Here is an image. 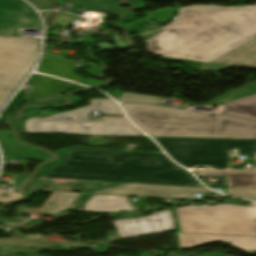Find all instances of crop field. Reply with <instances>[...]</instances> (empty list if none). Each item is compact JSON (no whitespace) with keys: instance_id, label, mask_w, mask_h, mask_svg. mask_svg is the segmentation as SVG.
Wrapping results in <instances>:
<instances>
[{"instance_id":"crop-field-1","label":"crop field","mask_w":256,"mask_h":256,"mask_svg":"<svg viewBox=\"0 0 256 256\" xmlns=\"http://www.w3.org/2000/svg\"><path fill=\"white\" fill-rule=\"evenodd\" d=\"M256 37V5L188 6L145 43L148 52L210 62Z\"/></svg>"},{"instance_id":"crop-field-2","label":"crop field","mask_w":256,"mask_h":256,"mask_svg":"<svg viewBox=\"0 0 256 256\" xmlns=\"http://www.w3.org/2000/svg\"><path fill=\"white\" fill-rule=\"evenodd\" d=\"M41 177L194 187L196 180L163 154L74 149Z\"/></svg>"},{"instance_id":"crop-field-3","label":"crop field","mask_w":256,"mask_h":256,"mask_svg":"<svg viewBox=\"0 0 256 256\" xmlns=\"http://www.w3.org/2000/svg\"><path fill=\"white\" fill-rule=\"evenodd\" d=\"M145 132L159 137L256 138V122L224 115L168 109L147 104H122Z\"/></svg>"},{"instance_id":"crop-field-4","label":"crop field","mask_w":256,"mask_h":256,"mask_svg":"<svg viewBox=\"0 0 256 256\" xmlns=\"http://www.w3.org/2000/svg\"><path fill=\"white\" fill-rule=\"evenodd\" d=\"M91 106L63 113L42 114L36 107L24 108L10 122L17 132L140 136L130 122L89 121L90 110L104 115L124 116L112 100H90ZM107 122V124H104Z\"/></svg>"},{"instance_id":"crop-field-5","label":"crop field","mask_w":256,"mask_h":256,"mask_svg":"<svg viewBox=\"0 0 256 256\" xmlns=\"http://www.w3.org/2000/svg\"><path fill=\"white\" fill-rule=\"evenodd\" d=\"M177 213L182 232L256 236V204L186 206Z\"/></svg>"},{"instance_id":"crop-field-6","label":"crop field","mask_w":256,"mask_h":256,"mask_svg":"<svg viewBox=\"0 0 256 256\" xmlns=\"http://www.w3.org/2000/svg\"><path fill=\"white\" fill-rule=\"evenodd\" d=\"M154 138L172 158L186 167L208 165L217 169H226L229 164V155L225 152L226 146L238 147L241 151L239 155H253L256 150V140Z\"/></svg>"},{"instance_id":"crop-field-7","label":"crop field","mask_w":256,"mask_h":256,"mask_svg":"<svg viewBox=\"0 0 256 256\" xmlns=\"http://www.w3.org/2000/svg\"><path fill=\"white\" fill-rule=\"evenodd\" d=\"M39 39L0 37V108L32 69Z\"/></svg>"},{"instance_id":"crop-field-8","label":"crop field","mask_w":256,"mask_h":256,"mask_svg":"<svg viewBox=\"0 0 256 256\" xmlns=\"http://www.w3.org/2000/svg\"><path fill=\"white\" fill-rule=\"evenodd\" d=\"M118 234L124 239L174 230L170 211L164 210L136 220L115 221Z\"/></svg>"},{"instance_id":"crop-field-9","label":"crop field","mask_w":256,"mask_h":256,"mask_svg":"<svg viewBox=\"0 0 256 256\" xmlns=\"http://www.w3.org/2000/svg\"><path fill=\"white\" fill-rule=\"evenodd\" d=\"M21 26L41 30L37 15L22 0H0V34L12 35Z\"/></svg>"},{"instance_id":"crop-field-10","label":"crop field","mask_w":256,"mask_h":256,"mask_svg":"<svg viewBox=\"0 0 256 256\" xmlns=\"http://www.w3.org/2000/svg\"><path fill=\"white\" fill-rule=\"evenodd\" d=\"M195 191L196 188L122 183L121 185L99 190L93 193L168 196L194 199Z\"/></svg>"},{"instance_id":"crop-field-11","label":"crop field","mask_w":256,"mask_h":256,"mask_svg":"<svg viewBox=\"0 0 256 256\" xmlns=\"http://www.w3.org/2000/svg\"><path fill=\"white\" fill-rule=\"evenodd\" d=\"M27 84L34 88V101L29 104L49 105L65 104L59 92L73 86V83L40 75H33Z\"/></svg>"},{"instance_id":"crop-field-12","label":"crop field","mask_w":256,"mask_h":256,"mask_svg":"<svg viewBox=\"0 0 256 256\" xmlns=\"http://www.w3.org/2000/svg\"><path fill=\"white\" fill-rule=\"evenodd\" d=\"M180 249L210 242H228L232 246L249 252L256 251V237L220 236L206 234L177 233Z\"/></svg>"},{"instance_id":"crop-field-13","label":"crop field","mask_w":256,"mask_h":256,"mask_svg":"<svg viewBox=\"0 0 256 256\" xmlns=\"http://www.w3.org/2000/svg\"><path fill=\"white\" fill-rule=\"evenodd\" d=\"M74 63L75 62L49 56V58H42L40 67L37 69V71L49 75L59 76L61 78L91 87L101 86L107 83L105 81L83 79L77 76L76 70L78 67L74 66Z\"/></svg>"},{"instance_id":"crop-field-14","label":"crop field","mask_w":256,"mask_h":256,"mask_svg":"<svg viewBox=\"0 0 256 256\" xmlns=\"http://www.w3.org/2000/svg\"><path fill=\"white\" fill-rule=\"evenodd\" d=\"M213 63L256 69V39L213 61Z\"/></svg>"},{"instance_id":"crop-field-15","label":"crop field","mask_w":256,"mask_h":256,"mask_svg":"<svg viewBox=\"0 0 256 256\" xmlns=\"http://www.w3.org/2000/svg\"><path fill=\"white\" fill-rule=\"evenodd\" d=\"M86 211H134L125 197L93 195L84 205Z\"/></svg>"},{"instance_id":"crop-field-16","label":"crop field","mask_w":256,"mask_h":256,"mask_svg":"<svg viewBox=\"0 0 256 256\" xmlns=\"http://www.w3.org/2000/svg\"><path fill=\"white\" fill-rule=\"evenodd\" d=\"M201 175L226 176L228 188H256V171H197Z\"/></svg>"},{"instance_id":"crop-field-17","label":"crop field","mask_w":256,"mask_h":256,"mask_svg":"<svg viewBox=\"0 0 256 256\" xmlns=\"http://www.w3.org/2000/svg\"><path fill=\"white\" fill-rule=\"evenodd\" d=\"M72 1L80 6L89 9L97 10L109 14L116 15L120 12L131 10V7H120L118 2L120 0H67Z\"/></svg>"},{"instance_id":"crop-field-18","label":"crop field","mask_w":256,"mask_h":256,"mask_svg":"<svg viewBox=\"0 0 256 256\" xmlns=\"http://www.w3.org/2000/svg\"><path fill=\"white\" fill-rule=\"evenodd\" d=\"M221 113L256 120V96L230 103L224 106Z\"/></svg>"},{"instance_id":"crop-field-19","label":"crop field","mask_w":256,"mask_h":256,"mask_svg":"<svg viewBox=\"0 0 256 256\" xmlns=\"http://www.w3.org/2000/svg\"><path fill=\"white\" fill-rule=\"evenodd\" d=\"M79 194L56 193L39 212L57 214L61 210H67Z\"/></svg>"},{"instance_id":"crop-field-20","label":"crop field","mask_w":256,"mask_h":256,"mask_svg":"<svg viewBox=\"0 0 256 256\" xmlns=\"http://www.w3.org/2000/svg\"><path fill=\"white\" fill-rule=\"evenodd\" d=\"M0 146L2 148L4 157L14 158H31L38 160H48L50 155L46 153H38L30 151L28 148L14 149L5 143V133L0 132Z\"/></svg>"},{"instance_id":"crop-field-21","label":"crop field","mask_w":256,"mask_h":256,"mask_svg":"<svg viewBox=\"0 0 256 256\" xmlns=\"http://www.w3.org/2000/svg\"><path fill=\"white\" fill-rule=\"evenodd\" d=\"M252 94H256V87L251 86L249 84L238 88L234 91H231L229 93H226L222 96H219L217 98H214L200 106H209V105H215V104H224L228 101L234 100V99H238V98H242V97H246Z\"/></svg>"},{"instance_id":"crop-field-22","label":"crop field","mask_w":256,"mask_h":256,"mask_svg":"<svg viewBox=\"0 0 256 256\" xmlns=\"http://www.w3.org/2000/svg\"><path fill=\"white\" fill-rule=\"evenodd\" d=\"M157 100L158 98L156 97L122 93L120 102H144V103L156 104Z\"/></svg>"},{"instance_id":"crop-field-23","label":"crop field","mask_w":256,"mask_h":256,"mask_svg":"<svg viewBox=\"0 0 256 256\" xmlns=\"http://www.w3.org/2000/svg\"><path fill=\"white\" fill-rule=\"evenodd\" d=\"M227 194L246 197L256 200V189H226Z\"/></svg>"},{"instance_id":"crop-field-24","label":"crop field","mask_w":256,"mask_h":256,"mask_svg":"<svg viewBox=\"0 0 256 256\" xmlns=\"http://www.w3.org/2000/svg\"><path fill=\"white\" fill-rule=\"evenodd\" d=\"M38 9H52L50 0H29Z\"/></svg>"},{"instance_id":"crop-field-25","label":"crop field","mask_w":256,"mask_h":256,"mask_svg":"<svg viewBox=\"0 0 256 256\" xmlns=\"http://www.w3.org/2000/svg\"><path fill=\"white\" fill-rule=\"evenodd\" d=\"M0 192L5 193V194H9L7 198H1L0 197V202H10L12 200H16V199L20 198L19 194L15 193V192H12V191L0 189Z\"/></svg>"},{"instance_id":"crop-field-26","label":"crop field","mask_w":256,"mask_h":256,"mask_svg":"<svg viewBox=\"0 0 256 256\" xmlns=\"http://www.w3.org/2000/svg\"><path fill=\"white\" fill-rule=\"evenodd\" d=\"M252 83L256 84V81H254V82H252Z\"/></svg>"}]
</instances>
